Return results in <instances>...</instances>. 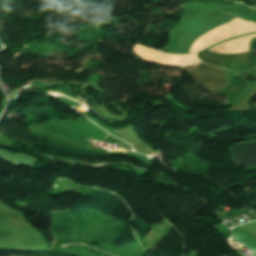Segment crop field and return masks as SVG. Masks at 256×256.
Here are the masks:
<instances>
[{
	"label": "crop field",
	"instance_id": "1",
	"mask_svg": "<svg viewBox=\"0 0 256 256\" xmlns=\"http://www.w3.org/2000/svg\"><path fill=\"white\" fill-rule=\"evenodd\" d=\"M181 69L189 71L201 85L214 94L226 87L225 72L222 69L206 65L187 66Z\"/></svg>",
	"mask_w": 256,
	"mask_h": 256
},
{
	"label": "crop field",
	"instance_id": "4",
	"mask_svg": "<svg viewBox=\"0 0 256 256\" xmlns=\"http://www.w3.org/2000/svg\"><path fill=\"white\" fill-rule=\"evenodd\" d=\"M14 238L7 220L0 221V239Z\"/></svg>",
	"mask_w": 256,
	"mask_h": 256
},
{
	"label": "crop field",
	"instance_id": "3",
	"mask_svg": "<svg viewBox=\"0 0 256 256\" xmlns=\"http://www.w3.org/2000/svg\"><path fill=\"white\" fill-rule=\"evenodd\" d=\"M233 157H242L256 154V143L243 144L232 147ZM235 165L238 167L256 165V155L234 159Z\"/></svg>",
	"mask_w": 256,
	"mask_h": 256
},
{
	"label": "crop field",
	"instance_id": "2",
	"mask_svg": "<svg viewBox=\"0 0 256 256\" xmlns=\"http://www.w3.org/2000/svg\"><path fill=\"white\" fill-rule=\"evenodd\" d=\"M198 59L204 63L220 68L224 67H243L248 60V52L237 55L218 54L203 50L198 53Z\"/></svg>",
	"mask_w": 256,
	"mask_h": 256
},
{
	"label": "crop field",
	"instance_id": "5",
	"mask_svg": "<svg viewBox=\"0 0 256 256\" xmlns=\"http://www.w3.org/2000/svg\"><path fill=\"white\" fill-rule=\"evenodd\" d=\"M5 216L3 215V213L0 211V218H4Z\"/></svg>",
	"mask_w": 256,
	"mask_h": 256
}]
</instances>
